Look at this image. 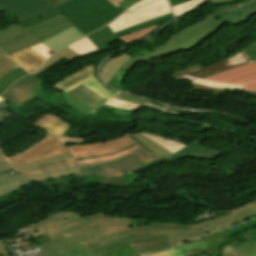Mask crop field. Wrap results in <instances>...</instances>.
I'll return each mask as SVG.
<instances>
[{
  "instance_id": "obj_16",
  "label": "crop field",
  "mask_w": 256,
  "mask_h": 256,
  "mask_svg": "<svg viewBox=\"0 0 256 256\" xmlns=\"http://www.w3.org/2000/svg\"><path fill=\"white\" fill-rule=\"evenodd\" d=\"M9 57L30 73L37 69L46 60L29 48Z\"/></svg>"
},
{
  "instance_id": "obj_45",
  "label": "crop field",
  "mask_w": 256,
  "mask_h": 256,
  "mask_svg": "<svg viewBox=\"0 0 256 256\" xmlns=\"http://www.w3.org/2000/svg\"><path fill=\"white\" fill-rule=\"evenodd\" d=\"M158 105H160V104H158ZM143 106H146V107H153L154 109H161V110H164V111H168V112H170V113H173V114H182L181 111L200 112V111H194V110L175 109V108H170V107L163 106V105H160L161 107H158V106H154V105L144 104ZM204 113H207V112H204Z\"/></svg>"
},
{
  "instance_id": "obj_13",
  "label": "crop field",
  "mask_w": 256,
  "mask_h": 256,
  "mask_svg": "<svg viewBox=\"0 0 256 256\" xmlns=\"http://www.w3.org/2000/svg\"><path fill=\"white\" fill-rule=\"evenodd\" d=\"M44 83L33 75L25 76L11 86L3 95L5 100L19 106L28 100L34 98L31 90L41 86Z\"/></svg>"
},
{
  "instance_id": "obj_59",
  "label": "crop field",
  "mask_w": 256,
  "mask_h": 256,
  "mask_svg": "<svg viewBox=\"0 0 256 256\" xmlns=\"http://www.w3.org/2000/svg\"><path fill=\"white\" fill-rule=\"evenodd\" d=\"M64 142H82L81 138H69V137H64L61 139Z\"/></svg>"
},
{
  "instance_id": "obj_15",
  "label": "crop field",
  "mask_w": 256,
  "mask_h": 256,
  "mask_svg": "<svg viewBox=\"0 0 256 256\" xmlns=\"http://www.w3.org/2000/svg\"><path fill=\"white\" fill-rule=\"evenodd\" d=\"M256 13V0L233 4L215 12L220 22L235 26Z\"/></svg>"
},
{
  "instance_id": "obj_46",
  "label": "crop field",
  "mask_w": 256,
  "mask_h": 256,
  "mask_svg": "<svg viewBox=\"0 0 256 256\" xmlns=\"http://www.w3.org/2000/svg\"><path fill=\"white\" fill-rule=\"evenodd\" d=\"M115 97L124 99V100H126V101L138 103V104H140V105H143L144 103L155 104V103H153V102H149V101H146V100H144V99L131 97V96H129V95H125V94H121V93H119V94H118L117 96H115ZM155 105H157V104H155Z\"/></svg>"
},
{
  "instance_id": "obj_55",
  "label": "crop field",
  "mask_w": 256,
  "mask_h": 256,
  "mask_svg": "<svg viewBox=\"0 0 256 256\" xmlns=\"http://www.w3.org/2000/svg\"><path fill=\"white\" fill-rule=\"evenodd\" d=\"M152 1H154V0H144V1H141V2H139V3H137V4H135L134 6L130 7V8L127 9L126 11L129 12V11H131V10H134V9L140 7V6H143V5H145V4H148V3L152 2Z\"/></svg>"
},
{
  "instance_id": "obj_26",
  "label": "crop field",
  "mask_w": 256,
  "mask_h": 256,
  "mask_svg": "<svg viewBox=\"0 0 256 256\" xmlns=\"http://www.w3.org/2000/svg\"><path fill=\"white\" fill-rule=\"evenodd\" d=\"M93 68L94 65H90L88 67H84L74 73H72L71 75L67 76L65 79H63L61 82L53 85V87H57V88H61V89H65L71 85H73L74 83L84 79L85 77L93 74Z\"/></svg>"
},
{
  "instance_id": "obj_8",
  "label": "crop field",
  "mask_w": 256,
  "mask_h": 256,
  "mask_svg": "<svg viewBox=\"0 0 256 256\" xmlns=\"http://www.w3.org/2000/svg\"><path fill=\"white\" fill-rule=\"evenodd\" d=\"M67 152L58 138L49 134L22 152L8 158L12 165L15 166Z\"/></svg>"
},
{
  "instance_id": "obj_60",
  "label": "crop field",
  "mask_w": 256,
  "mask_h": 256,
  "mask_svg": "<svg viewBox=\"0 0 256 256\" xmlns=\"http://www.w3.org/2000/svg\"><path fill=\"white\" fill-rule=\"evenodd\" d=\"M138 149H140V147L137 148L136 150H138ZM136 150H134V151H136ZM134 151H133V152H134ZM131 153H132V152H131ZM129 154H130V153H129ZM129 154H127V155H129ZM127 155H124V156H121V157H118V158H115V159H112V160L120 159V158H123V157H125V156H127ZM112 160H108V161H104V162H99V163H93V164H87V165H81V166L95 165V164H100V163L109 162V161H112ZM81 166H78V167H81Z\"/></svg>"
},
{
  "instance_id": "obj_34",
  "label": "crop field",
  "mask_w": 256,
  "mask_h": 256,
  "mask_svg": "<svg viewBox=\"0 0 256 256\" xmlns=\"http://www.w3.org/2000/svg\"><path fill=\"white\" fill-rule=\"evenodd\" d=\"M163 23L142 29V30H138L135 32H132L130 34L124 35L119 37L120 39H123L127 44L136 40H139L141 38H143L144 36L150 34L152 31H154L158 26H160Z\"/></svg>"
},
{
  "instance_id": "obj_37",
  "label": "crop field",
  "mask_w": 256,
  "mask_h": 256,
  "mask_svg": "<svg viewBox=\"0 0 256 256\" xmlns=\"http://www.w3.org/2000/svg\"><path fill=\"white\" fill-rule=\"evenodd\" d=\"M17 67L19 66L0 51V78Z\"/></svg>"
},
{
  "instance_id": "obj_52",
  "label": "crop field",
  "mask_w": 256,
  "mask_h": 256,
  "mask_svg": "<svg viewBox=\"0 0 256 256\" xmlns=\"http://www.w3.org/2000/svg\"><path fill=\"white\" fill-rule=\"evenodd\" d=\"M193 88L201 89V90H208V91H215V92H222L224 93L225 89H216V88H210V87H205L197 84H191ZM232 90V89H229Z\"/></svg>"
},
{
  "instance_id": "obj_42",
  "label": "crop field",
  "mask_w": 256,
  "mask_h": 256,
  "mask_svg": "<svg viewBox=\"0 0 256 256\" xmlns=\"http://www.w3.org/2000/svg\"><path fill=\"white\" fill-rule=\"evenodd\" d=\"M137 147L139 146H134L124 152H121V153H118V154H115V155H110V156H106V157H101V158H95V159H90V160H85V161H79V162H76L77 165H80V164H86V163H92V162H98V161H103V160H107V159H111V158H115V157H118V156H121V155H124L134 149H136Z\"/></svg>"
},
{
  "instance_id": "obj_3",
  "label": "crop field",
  "mask_w": 256,
  "mask_h": 256,
  "mask_svg": "<svg viewBox=\"0 0 256 256\" xmlns=\"http://www.w3.org/2000/svg\"><path fill=\"white\" fill-rule=\"evenodd\" d=\"M71 26L82 33L61 14H57L25 30L18 24H14L0 31V48L8 56L38 44ZM82 34L86 36L84 33Z\"/></svg>"
},
{
  "instance_id": "obj_6",
  "label": "crop field",
  "mask_w": 256,
  "mask_h": 256,
  "mask_svg": "<svg viewBox=\"0 0 256 256\" xmlns=\"http://www.w3.org/2000/svg\"><path fill=\"white\" fill-rule=\"evenodd\" d=\"M101 235L99 229L73 235L67 239L61 235L39 247L44 256H93L79 242ZM60 250L62 251L61 253L59 252Z\"/></svg>"
},
{
  "instance_id": "obj_56",
  "label": "crop field",
  "mask_w": 256,
  "mask_h": 256,
  "mask_svg": "<svg viewBox=\"0 0 256 256\" xmlns=\"http://www.w3.org/2000/svg\"><path fill=\"white\" fill-rule=\"evenodd\" d=\"M212 5H220V4H225V3H230V2H235L239 0H209Z\"/></svg>"
},
{
  "instance_id": "obj_2",
  "label": "crop field",
  "mask_w": 256,
  "mask_h": 256,
  "mask_svg": "<svg viewBox=\"0 0 256 256\" xmlns=\"http://www.w3.org/2000/svg\"><path fill=\"white\" fill-rule=\"evenodd\" d=\"M226 23H220L216 18L215 14L207 16L201 21L186 27L181 30L175 36H173L169 41L156 48L153 52L146 55H142L129 60L126 64L120 67L119 74L125 70L127 71L121 82L128 74V72L139 62H147L154 58L174 55L182 51H191L196 48L200 43L210 38L214 34L218 33L220 29ZM185 53V52H184Z\"/></svg>"
},
{
  "instance_id": "obj_63",
  "label": "crop field",
  "mask_w": 256,
  "mask_h": 256,
  "mask_svg": "<svg viewBox=\"0 0 256 256\" xmlns=\"http://www.w3.org/2000/svg\"><path fill=\"white\" fill-rule=\"evenodd\" d=\"M172 6L181 4L183 2L189 1V0H169Z\"/></svg>"
},
{
  "instance_id": "obj_38",
  "label": "crop field",
  "mask_w": 256,
  "mask_h": 256,
  "mask_svg": "<svg viewBox=\"0 0 256 256\" xmlns=\"http://www.w3.org/2000/svg\"><path fill=\"white\" fill-rule=\"evenodd\" d=\"M105 105L120 107V108L134 110V111L139 110V108L141 107L140 105L129 103L116 98L111 99L109 102L105 103Z\"/></svg>"
},
{
  "instance_id": "obj_7",
  "label": "crop field",
  "mask_w": 256,
  "mask_h": 256,
  "mask_svg": "<svg viewBox=\"0 0 256 256\" xmlns=\"http://www.w3.org/2000/svg\"><path fill=\"white\" fill-rule=\"evenodd\" d=\"M170 12L171 10L167 0H158L132 12L127 13L125 11L119 18L108 24V26L116 33L143 21L157 18Z\"/></svg>"
},
{
  "instance_id": "obj_12",
  "label": "crop field",
  "mask_w": 256,
  "mask_h": 256,
  "mask_svg": "<svg viewBox=\"0 0 256 256\" xmlns=\"http://www.w3.org/2000/svg\"><path fill=\"white\" fill-rule=\"evenodd\" d=\"M132 144H134V142H132L130 139L120 138L110 142L72 146L68 148L72 152L74 158H80L115 152Z\"/></svg>"
},
{
  "instance_id": "obj_51",
  "label": "crop field",
  "mask_w": 256,
  "mask_h": 256,
  "mask_svg": "<svg viewBox=\"0 0 256 256\" xmlns=\"http://www.w3.org/2000/svg\"><path fill=\"white\" fill-rule=\"evenodd\" d=\"M9 116H11V114L5 109L4 107V103L1 102L0 103V124L6 120ZM1 145H0V149H1Z\"/></svg>"
},
{
  "instance_id": "obj_50",
  "label": "crop field",
  "mask_w": 256,
  "mask_h": 256,
  "mask_svg": "<svg viewBox=\"0 0 256 256\" xmlns=\"http://www.w3.org/2000/svg\"><path fill=\"white\" fill-rule=\"evenodd\" d=\"M11 168L10 163L8 162L3 150H0V171Z\"/></svg>"
},
{
  "instance_id": "obj_58",
  "label": "crop field",
  "mask_w": 256,
  "mask_h": 256,
  "mask_svg": "<svg viewBox=\"0 0 256 256\" xmlns=\"http://www.w3.org/2000/svg\"><path fill=\"white\" fill-rule=\"evenodd\" d=\"M0 256H8L6 246L3 244V240H0Z\"/></svg>"
},
{
  "instance_id": "obj_11",
  "label": "crop field",
  "mask_w": 256,
  "mask_h": 256,
  "mask_svg": "<svg viewBox=\"0 0 256 256\" xmlns=\"http://www.w3.org/2000/svg\"><path fill=\"white\" fill-rule=\"evenodd\" d=\"M227 242L225 232L213 234L192 243L179 246L184 256H195L203 252L217 256L218 247Z\"/></svg>"
},
{
  "instance_id": "obj_43",
  "label": "crop field",
  "mask_w": 256,
  "mask_h": 256,
  "mask_svg": "<svg viewBox=\"0 0 256 256\" xmlns=\"http://www.w3.org/2000/svg\"><path fill=\"white\" fill-rule=\"evenodd\" d=\"M32 50L43 56L44 58H49L54 53L50 51L46 46H44L42 43L30 47Z\"/></svg>"
},
{
  "instance_id": "obj_23",
  "label": "crop field",
  "mask_w": 256,
  "mask_h": 256,
  "mask_svg": "<svg viewBox=\"0 0 256 256\" xmlns=\"http://www.w3.org/2000/svg\"><path fill=\"white\" fill-rule=\"evenodd\" d=\"M85 85L86 87L90 88L91 90H93L94 92H96L97 94H99L100 96L104 97L105 99L109 100L112 96H114L116 94V92L108 89L107 87L103 86L98 79L95 78L94 75L76 83L75 85L65 89L64 91L67 92L79 85Z\"/></svg>"
},
{
  "instance_id": "obj_18",
  "label": "crop field",
  "mask_w": 256,
  "mask_h": 256,
  "mask_svg": "<svg viewBox=\"0 0 256 256\" xmlns=\"http://www.w3.org/2000/svg\"><path fill=\"white\" fill-rule=\"evenodd\" d=\"M81 37H83V35H81L77 30L72 27L42 43L55 53L60 48Z\"/></svg>"
},
{
  "instance_id": "obj_49",
  "label": "crop field",
  "mask_w": 256,
  "mask_h": 256,
  "mask_svg": "<svg viewBox=\"0 0 256 256\" xmlns=\"http://www.w3.org/2000/svg\"><path fill=\"white\" fill-rule=\"evenodd\" d=\"M203 68L202 66H200L199 64L195 65V66H192V67H189L187 69H184L182 71H178V72H175V74L169 76L171 79L172 78H175V77H178L180 75H183V74H186V73H189V72H192V71H195V70H198V69H201Z\"/></svg>"
},
{
  "instance_id": "obj_47",
  "label": "crop field",
  "mask_w": 256,
  "mask_h": 256,
  "mask_svg": "<svg viewBox=\"0 0 256 256\" xmlns=\"http://www.w3.org/2000/svg\"><path fill=\"white\" fill-rule=\"evenodd\" d=\"M148 256H183V254L180 252L178 247H175V248L169 249L167 251L154 253V254H151Z\"/></svg>"
},
{
  "instance_id": "obj_54",
  "label": "crop field",
  "mask_w": 256,
  "mask_h": 256,
  "mask_svg": "<svg viewBox=\"0 0 256 256\" xmlns=\"http://www.w3.org/2000/svg\"><path fill=\"white\" fill-rule=\"evenodd\" d=\"M140 0H124L120 4L121 7H123L125 10L132 6L133 4L137 3Z\"/></svg>"
},
{
  "instance_id": "obj_29",
  "label": "crop field",
  "mask_w": 256,
  "mask_h": 256,
  "mask_svg": "<svg viewBox=\"0 0 256 256\" xmlns=\"http://www.w3.org/2000/svg\"><path fill=\"white\" fill-rule=\"evenodd\" d=\"M64 57L70 59V60H74L78 57H80L77 53L73 52L72 50H70L69 48L65 47L62 50H60L59 52H57L52 58H50L47 62H45L41 68L34 73V75L40 73L41 71L45 70L46 68L50 67L51 65H53L54 63L58 62L59 60L63 59Z\"/></svg>"
},
{
  "instance_id": "obj_53",
  "label": "crop field",
  "mask_w": 256,
  "mask_h": 256,
  "mask_svg": "<svg viewBox=\"0 0 256 256\" xmlns=\"http://www.w3.org/2000/svg\"><path fill=\"white\" fill-rule=\"evenodd\" d=\"M232 65L234 64H238L241 62H245V59L242 57V55L240 54V52L238 54H236L234 57L228 59Z\"/></svg>"
},
{
  "instance_id": "obj_68",
  "label": "crop field",
  "mask_w": 256,
  "mask_h": 256,
  "mask_svg": "<svg viewBox=\"0 0 256 256\" xmlns=\"http://www.w3.org/2000/svg\"><path fill=\"white\" fill-rule=\"evenodd\" d=\"M112 4H114L116 7L119 6L118 3L122 0H109Z\"/></svg>"
},
{
  "instance_id": "obj_30",
  "label": "crop field",
  "mask_w": 256,
  "mask_h": 256,
  "mask_svg": "<svg viewBox=\"0 0 256 256\" xmlns=\"http://www.w3.org/2000/svg\"><path fill=\"white\" fill-rule=\"evenodd\" d=\"M25 74H28V72L20 67L0 79V97L5 90Z\"/></svg>"
},
{
  "instance_id": "obj_65",
  "label": "crop field",
  "mask_w": 256,
  "mask_h": 256,
  "mask_svg": "<svg viewBox=\"0 0 256 256\" xmlns=\"http://www.w3.org/2000/svg\"><path fill=\"white\" fill-rule=\"evenodd\" d=\"M245 50L249 53L253 60L256 59V55L252 52V50L249 49V47L245 48Z\"/></svg>"
},
{
  "instance_id": "obj_5",
  "label": "crop field",
  "mask_w": 256,
  "mask_h": 256,
  "mask_svg": "<svg viewBox=\"0 0 256 256\" xmlns=\"http://www.w3.org/2000/svg\"><path fill=\"white\" fill-rule=\"evenodd\" d=\"M159 157H152L142 149L120 160L105 164L81 167V175L120 176L135 170Z\"/></svg>"
},
{
  "instance_id": "obj_69",
  "label": "crop field",
  "mask_w": 256,
  "mask_h": 256,
  "mask_svg": "<svg viewBox=\"0 0 256 256\" xmlns=\"http://www.w3.org/2000/svg\"><path fill=\"white\" fill-rule=\"evenodd\" d=\"M14 169L13 168H11V169H8V170H5V171H2V172H0V173H4V172H8V171H13Z\"/></svg>"
},
{
  "instance_id": "obj_40",
  "label": "crop field",
  "mask_w": 256,
  "mask_h": 256,
  "mask_svg": "<svg viewBox=\"0 0 256 256\" xmlns=\"http://www.w3.org/2000/svg\"><path fill=\"white\" fill-rule=\"evenodd\" d=\"M64 100H66L67 102H69L71 105H73L75 108H77L78 110L88 114L90 111H92L93 109H91L90 107L86 106L85 104H83L82 102L78 101L77 99H75L74 97L68 95L67 93L64 94Z\"/></svg>"
},
{
  "instance_id": "obj_4",
  "label": "crop field",
  "mask_w": 256,
  "mask_h": 256,
  "mask_svg": "<svg viewBox=\"0 0 256 256\" xmlns=\"http://www.w3.org/2000/svg\"><path fill=\"white\" fill-rule=\"evenodd\" d=\"M55 8L86 35L105 26L125 11L107 0H71Z\"/></svg>"
},
{
  "instance_id": "obj_36",
  "label": "crop field",
  "mask_w": 256,
  "mask_h": 256,
  "mask_svg": "<svg viewBox=\"0 0 256 256\" xmlns=\"http://www.w3.org/2000/svg\"><path fill=\"white\" fill-rule=\"evenodd\" d=\"M142 134H144V133H142ZM144 135L151 138L152 140L156 141L157 143L164 146L165 148H167L168 150H170L173 153L176 152L177 150H179L180 148H182L183 146H185L183 144L171 141L169 139H164L159 136H154V135H149V134H144Z\"/></svg>"
},
{
  "instance_id": "obj_64",
  "label": "crop field",
  "mask_w": 256,
  "mask_h": 256,
  "mask_svg": "<svg viewBox=\"0 0 256 256\" xmlns=\"http://www.w3.org/2000/svg\"><path fill=\"white\" fill-rule=\"evenodd\" d=\"M241 54L244 56V58L246 59V61H251V57L248 55V53L243 49L240 51Z\"/></svg>"
},
{
  "instance_id": "obj_1",
  "label": "crop field",
  "mask_w": 256,
  "mask_h": 256,
  "mask_svg": "<svg viewBox=\"0 0 256 256\" xmlns=\"http://www.w3.org/2000/svg\"><path fill=\"white\" fill-rule=\"evenodd\" d=\"M254 202L231 211L229 215L191 226L157 224L158 222L154 221L128 218H108L102 213L81 218L74 213L60 212L26 229L34 237L46 233L53 239L61 234L67 238L73 234L100 228L103 236L81 242L88 252L95 256H102L115 248L130 244L140 255L193 240L211 231V228L235 219L238 222L245 220L256 214Z\"/></svg>"
},
{
  "instance_id": "obj_48",
  "label": "crop field",
  "mask_w": 256,
  "mask_h": 256,
  "mask_svg": "<svg viewBox=\"0 0 256 256\" xmlns=\"http://www.w3.org/2000/svg\"><path fill=\"white\" fill-rule=\"evenodd\" d=\"M223 256H245V255L230 246H226L225 248H223Z\"/></svg>"
},
{
  "instance_id": "obj_28",
  "label": "crop field",
  "mask_w": 256,
  "mask_h": 256,
  "mask_svg": "<svg viewBox=\"0 0 256 256\" xmlns=\"http://www.w3.org/2000/svg\"><path fill=\"white\" fill-rule=\"evenodd\" d=\"M67 47L74 50L75 52H77L81 56H86V55H89L91 53L99 51L87 36L82 38L81 40L67 46Z\"/></svg>"
},
{
  "instance_id": "obj_35",
  "label": "crop field",
  "mask_w": 256,
  "mask_h": 256,
  "mask_svg": "<svg viewBox=\"0 0 256 256\" xmlns=\"http://www.w3.org/2000/svg\"><path fill=\"white\" fill-rule=\"evenodd\" d=\"M179 79H185L188 80L192 83H197L205 86H210V87H216V88H233V89H242L243 86H237V85H228V84H221V83H215L211 81H206V80H200L196 79L187 75L181 76L179 78H176V80Z\"/></svg>"
},
{
  "instance_id": "obj_70",
  "label": "crop field",
  "mask_w": 256,
  "mask_h": 256,
  "mask_svg": "<svg viewBox=\"0 0 256 256\" xmlns=\"http://www.w3.org/2000/svg\"><path fill=\"white\" fill-rule=\"evenodd\" d=\"M250 93L256 96V92H250Z\"/></svg>"
},
{
  "instance_id": "obj_71",
  "label": "crop field",
  "mask_w": 256,
  "mask_h": 256,
  "mask_svg": "<svg viewBox=\"0 0 256 256\" xmlns=\"http://www.w3.org/2000/svg\"><path fill=\"white\" fill-rule=\"evenodd\" d=\"M0 100H1V98H0Z\"/></svg>"
},
{
  "instance_id": "obj_14",
  "label": "crop field",
  "mask_w": 256,
  "mask_h": 256,
  "mask_svg": "<svg viewBox=\"0 0 256 256\" xmlns=\"http://www.w3.org/2000/svg\"><path fill=\"white\" fill-rule=\"evenodd\" d=\"M54 0H0V11L6 9L13 17L21 19L47 6Z\"/></svg>"
},
{
  "instance_id": "obj_24",
  "label": "crop field",
  "mask_w": 256,
  "mask_h": 256,
  "mask_svg": "<svg viewBox=\"0 0 256 256\" xmlns=\"http://www.w3.org/2000/svg\"><path fill=\"white\" fill-rule=\"evenodd\" d=\"M251 62H254V61H251ZM247 63H250V62H245V63H241V64H238V65L232 66L229 63V61L226 60V61L220 62L218 64L212 65L210 67H207V68H204V69L192 72V73L187 74V75H190V76H193V77H196V78L205 79V78L211 77V76H213L215 74H218L220 72H223V71H226V70H229V69H232V68H235V67L247 64Z\"/></svg>"
},
{
  "instance_id": "obj_31",
  "label": "crop field",
  "mask_w": 256,
  "mask_h": 256,
  "mask_svg": "<svg viewBox=\"0 0 256 256\" xmlns=\"http://www.w3.org/2000/svg\"><path fill=\"white\" fill-rule=\"evenodd\" d=\"M135 136L139 141H141L144 145H146L149 149H151L154 153L157 155H163V156H169L173 153L165 149L164 147L160 146L156 142L150 140L149 138L141 135V134H136L133 135Z\"/></svg>"
},
{
  "instance_id": "obj_41",
  "label": "crop field",
  "mask_w": 256,
  "mask_h": 256,
  "mask_svg": "<svg viewBox=\"0 0 256 256\" xmlns=\"http://www.w3.org/2000/svg\"><path fill=\"white\" fill-rule=\"evenodd\" d=\"M104 256H137L130 245H126L122 248L116 249Z\"/></svg>"
},
{
  "instance_id": "obj_62",
  "label": "crop field",
  "mask_w": 256,
  "mask_h": 256,
  "mask_svg": "<svg viewBox=\"0 0 256 256\" xmlns=\"http://www.w3.org/2000/svg\"><path fill=\"white\" fill-rule=\"evenodd\" d=\"M234 223H237V220H235V221H233V222H230V223H228V224L221 225V226H218V227H216V228H213V231H215V230H220V229L225 228V227H227V226H229V225H232V224H234Z\"/></svg>"
},
{
  "instance_id": "obj_9",
  "label": "crop field",
  "mask_w": 256,
  "mask_h": 256,
  "mask_svg": "<svg viewBox=\"0 0 256 256\" xmlns=\"http://www.w3.org/2000/svg\"><path fill=\"white\" fill-rule=\"evenodd\" d=\"M207 80L244 85L243 90L256 91V62L220 73Z\"/></svg>"
},
{
  "instance_id": "obj_10",
  "label": "crop field",
  "mask_w": 256,
  "mask_h": 256,
  "mask_svg": "<svg viewBox=\"0 0 256 256\" xmlns=\"http://www.w3.org/2000/svg\"><path fill=\"white\" fill-rule=\"evenodd\" d=\"M173 15L172 13L164 15L160 18L153 19L150 21L143 22L137 26H134L132 28H129L127 30L121 31L119 33L114 34L108 26L101 28L100 30L88 35V37L92 40V42L98 47L100 51L111 49V47L108 45L110 43H113L115 41H118L117 38L120 35L127 34L129 32L145 28L163 21H167L172 19Z\"/></svg>"
},
{
  "instance_id": "obj_27",
  "label": "crop field",
  "mask_w": 256,
  "mask_h": 256,
  "mask_svg": "<svg viewBox=\"0 0 256 256\" xmlns=\"http://www.w3.org/2000/svg\"><path fill=\"white\" fill-rule=\"evenodd\" d=\"M77 173H79V171L77 167L74 166V167H69V168H64L59 170L30 174V175H26L25 177L29 180V182H32L36 180L66 176V175L77 174Z\"/></svg>"
},
{
  "instance_id": "obj_19",
  "label": "crop field",
  "mask_w": 256,
  "mask_h": 256,
  "mask_svg": "<svg viewBox=\"0 0 256 256\" xmlns=\"http://www.w3.org/2000/svg\"><path fill=\"white\" fill-rule=\"evenodd\" d=\"M43 130H46L50 133H54L57 135L60 139L63 138L61 135L64 132V130L69 125L68 123L60 120L59 118L52 116V115H45L43 118H41L39 121H37L35 124H33Z\"/></svg>"
},
{
  "instance_id": "obj_44",
  "label": "crop field",
  "mask_w": 256,
  "mask_h": 256,
  "mask_svg": "<svg viewBox=\"0 0 256 256\" xmlns=\"http://www.w3.org/2000/svg\"><path fill=\"white\" fill-rule=\"evenodd\" d=\"M247 256H256V242L236 248Z\"/></svg>"
},
{
  "instance_id": "obj_20",
  "label": "crop field",
  "mask_w": 256,
  "mask_h": 256,
  "mask_svg": "<svg viewBox=\"0 0 256 256\" xmlns=\"http://www.w3.org/2000/svg\"><path fill=\"white\" fill-rule=\"evenodd\" d=\"M68 94L74 96L93 109L107 101L83 85L68 92Z\"/></svg>"
},
{
  "instance_id": "obj_57",
  "label": "crop field",
  "mask_w": 256,
  "mask_h": 256,
  "mask_svg": "<svg viewBox=\"0 0 256 256\" xmlns=\"http://www.w3.org/2000/svg\"><path fill=\"white\" fill-rule=\"evenodd\" d=\"M129 138H131L133 141H135L138 145H140L143 149H145L148 153L154 154L151 150H149L146 146H144L141 142H139L135 137H133L132 135H127Z\"/></svg>"
},
{
  "instance_id": "obj_61",
  "label": "crop field",
  "mask_w": 256,
  "mask_h": 256,
  "mask_svg": "<svg viewBox=\"0 0 256 256\" xmlns=\"http://www.w3.org/2000/svg\"><path fill=\"white\" fill-rule=\"evenodd\" d=\"M135 145V144H134ZM133 146V145H132ZM131 147V146H130ZM129 147L121 150V151H124L126 149H128ZM121 151H118V152H121ZM118 152H115V153H118ZM111 154H114V153H111ZM106 155H110V154H105V155H99V156H94V157H88V158H80V159H75L76 161H79V160H85V159H90V158H95V157H101V156H106Z\"/></svg>"
},
{
  "instance_id": "obj_25",
  "label": "crop field",
  "mask_w": 256,
  "mask_h": 256,
  "mask_svg": "<svg viewBox=\"0 0 256 256\" xmlns=\"http://www.w3.org/2000/svg\"><path fill=\"white\" fill-rule=\"evenodd\" d=\"M131 59L126 53L119 55L112 60H109L102 66L101 78L105 83H108L113 74L125 62Z\"/></svg>"
},
{
  "instance_id": "obj_21",
  "label": "crop field",
  "mask_w": 256,
  "mask_h": 256,
  "mask_svg": "<svg viewBox=\"0 0 256 256\" xmlns=\"http://www.w3.org/2000/svg\"><path fill=\"white\" fill-rule=\"evenodd\" d=\"M28 181L19 173L12 175L10 172L0 175V195L28 185Z\"/></svg>"
},
{
  "instance_id": "obj_32",
  "label": "crop field",
  "mask_w": 256,
  "mask_h": 256,
  "mask_svg": "<svg viewBox=\"0 0 256 256\" xmlns=\"http://www.w3.org/2000/svg\"><path fill=\"white\" fill-rule=\"evenodd\" d=\"M74 165H76V164H75L74 160L72 159V160L59 162V163H55V164L29 168V169L21 170L19 172H21L23 175H25V174H29V173L64 168V167H69V166H74Z\"/></svg>"
},
{
  "instance_id": "obj_39",
  "label": "crop field",
  "mask_w": 256,
  "mask_h": 256,
  "mask_svg": "<svg viewBox=\"0 0 256 256\" xmlns=\"http://www.w3.org/2000/svg\"><path fill=\"white\" fill-rule=\"evenodd\" d=\"M203 0H192L181 5L175 6L172 8L175 16H179L180 14L194 8L195 6L199 5Z\"/></svg>"
},
{
  "instance_id": "obj_67",
  "label": "crop field",
  "mask_w": 256,
  "mask_h": 256,
  "mask_svg": "<svg viewBox=\"0 0 256 256\" xmlns=\"http://www.w3.org/2000/svg\"><path fill=\"white\" fill-rule=\"evenodd\" d=\"M172 158H174V157H162L160 159H157V161L162 162V161H166V160L172 159Z\"/></svg>"
},
{
  "instance_id": "obj_22",
  "label": "crop field",
  "mask_w": 256,
  "mask_h": 256,
  "mask_svg": "<svg viewBox=\"0 0 256 256\" xmlns=\"http://www.w3.org/2000/svg\"><path fill=\"white\" fill-rule=\"evenodd\" d=\"M66 1H68V0H56L52 3H50L51 6L45 8L29 17H26V18L20 20V22H21L20 25L25 29L31 25H34L38 22H41V21L59 13L53 6L62 4Z\"/></svg>"
},
{
  "instance_id": "obj_66",
  "label": "crop field",
  "mask_w": 256,
  "mask_h": 256,
  "mask_svg": "<svg viewBox=\"0 0 256 256\" xmlns=\"http://www.w3.org/2000/svg\"><path fill=\"white\" fill-rule=\"evenodd\" d=\"M249 47H250V49H252V50L254 51V53L256 54V41H255L252 45H250Z\"/></svg>"
},
{
  "instance_id": "obj_17",
  "label": "crop field",
  "mask_w": 256,
  "mask_h": 256,
  "mask_svg": "<svg viewBox=\"0 0 256 256\" xmlns=\"http://www.w3.org/2000/svg\"><path fill=\"white\" fill-rule=\"evenodd\" d=\"M219 154L218 152L212 151L210 149L204 148L199 145V143L192 141L186 147L180 149L171 156H180V157H194V158H203V159H214Z\"/></svg>"
},
{
  "instance_id": "obj_33",
  "label": "crop field",
  "mask_w": 256,
  "mask_h": 256,
  "mask_svg": "<svg viewBox=\"0 0 256 256\" xmlns=\"http://www.w3.org/2000/svg\"><path fill=\"white\" fill-rule=\"evenodd\" d=\"M71 158H73L72 155L70 153H67V154H63V155L50 157V158H47V159H44V160H41V161H37V162H31V163L15 166V168L18 169V170H21V169H25V168H29V167H34V166H39V165H44V164H50V163H54V162H58V161L71 159Z\"/></svg>"
}]
</instances>
